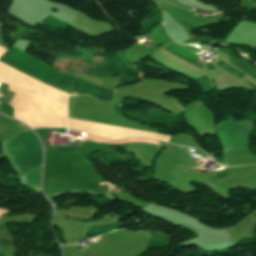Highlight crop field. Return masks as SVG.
Listing matches in <instances>:
<instances>
[{"label":"crop field","instance_id":"crop-field-1","mask_svg":"<svg viewBox=\"0 0 256 256\" xmlns=\"http://www.w3.org/2000/svg\"><path fill=\"white\" fill-rule=\"evenodd\" d=\"M0 65L63 96L89 94L95 99L113 100L112 92L60 74L44 62L13 47L0 58Z\"/></svg>","mask_w":256,"mask_h":256},{"label":"crop field","instance_id":"crop-field-2","mask_svg":"<svg viewBox=\"0 0 256 256\" xmlns=\"http://www.w3.org/2000/svg\"><path fill=\"white\" fill-rule=\"evenodd\" d=\"M4 151L20 175L41 165V146L32 132H26L11 141L4 142Z\"/></svg>","mask_w":256,"mask_h":256},{"label":"crop field","instance_id":"crop-field-3","mask_svg":"<svg viewBox=\"0 0 256 256\" xmlns=\"http://www.w3.org/2000/svg\"><path fill=\"white\" fill-rule=\"evenodd\" d=\"M249 121L234 123L231 120L218 125L217 131L224 149H241L248 145L249 134L253 129Z\"/></svg>","mask_w":256,"mask_h":256},{"label":"crop field","instance_id":"crop-field-4","mask_svg":"<svg viewBox=\"0 0 256 256\" xmlns=\"http://www.w3.org/2000/svg\"><path fill=\"white\" fill-rule=\"evenodd\" d=\"M164 50L172 53L173 55L181 58L182 60L190 63L191 65H193L199 69L204 66V65L193 60L194 58H196V56L188 53L187 51L183 50L182 48L178 47L177 45H175L173 43L171 45H169L167 48H165Z\"/></svg>","mask_w":256,"mask_h":256},{"label":"crop field","instance_id":"crop-field-5","mask_svg":"<svg viewBox=\"0 0 256 256\" xmlns=\"http://www.w3.org/2000/svg\"><path fill=\"white\" fill-rule=\"evenodd\" d=\"M40 167L26 174V187L39 193Z\"/></svg>","mask_w":256,"mask_h":256},{"label":"crop field","instance_id":"crop-field-6","mask_svg":"<svg viewBox=\"0 0 256 256\" xmlns=\"http://www.w3.org/2000/svg\"><path fill=\"white\" fill-rule=\"evenodd\" d=\"M6 226L0 225V247L14 248V241H12Z\"/></svg>","mask_w":256,"mask_h":256},{"label":"crop field","instance_id":"crop-field-7","mask_svg":"<svg viewBox=\"0 0 256 256\" xmlns=\"http://www.w3.org/2000/svg\"><path fill=\"white\" fill-rule=\"evenodd\" d=\"M215 63H216V62H215ZM215 63H214V64H215ZM216 65L222 67L223 69L229 71L230 73L234 74L235 76H237V77H239V78H241V79H243L244 77H246V75H244V74H242V73H240V72L234 70L235 68L233 69V68L229 67L228 65L224 64V63H223L222 61H220V60L216 63Z\"/></svg>","mask_w":256,"mask_h":256},{"label":"crop field","instance_id":"crop-field-8","mask_svg":"<svg viewBox=\"0 0 256 256\" xmlns=\"http://www.w3.org/2000/svg\"><path fill=\"white\" fill-rule=\"evenodd\" d=\"M47 130H52V131H56V132H60V133H64L65 130H53V129H47Z\"/></svg>","mask_w":256,"mask_h":256}]
</instances>
